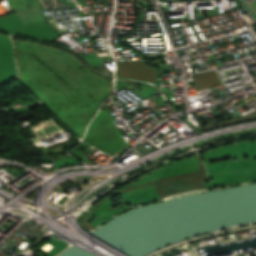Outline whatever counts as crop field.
Returning a JSON list of instances; mask_svg holds the SVG:
<instances>
[{
  "label": "crop field",
  "instance_id": "crop-field-1",
  "mask_svg": "<svg viewBox=\"0 0 256 256\" xmlns=\"http://www.w3.org/2000/svg\"><path fill=\"white\" fill-rule=\"evenodd\" d=\"M256 116V111L252 112V113H249V114H246L244 116H241V117H238V118H234V119H231V120H228V121H234V120H239V119H245V118H250V117H255ZM251 119H256L255 118H250V119H245V120H239V121H234V122H228V121H224V122H228V123H224V122H221V123H224V124H220L218 125L216 122H213L211 120H209L205 126L203 127L205 130L207 129H211V128H215V127H218V126H222V125H225V124H229V123H235V122H240V121H246V120H251Z\"/></svg>",
  "mask_w": 256,
  "mask_h": 256
}]
</instances>
